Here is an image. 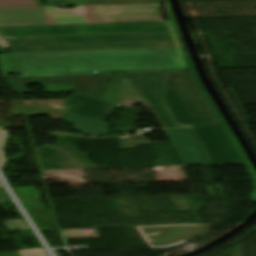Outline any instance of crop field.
<instances>
[{"label": "crop field", "instance_id": "cbeb9de0", "mask_svg": "<svg viewBox=\"0 0 256 256\" xmlns=\"http://www.w3.org/2000/svg\"><path fill=\"white\" fill-rule=\"evenodd\" d=\"M0 38H2V37H0Z\"/></svg>", "mask_w": 256, "mask_h": 256}, {"label": "crop field", "instance_id": "f4fd0767", "mask_svg": "<svg viewBox=\"0 0 256 256\" xmlns=\"http://www.w3.org/2000/svg\"><path fill=\"white\" fill-rule=\"evenodd\" d=\"M153 32L174 31L170 22L111 23L0 28V34L3 35L5 38L12 36L22 37Z\"/></svg>", "mask_w": 256, "mask_h": 256}, {"label": "crop field", "instance_id": "d8731c3e", "mask_svg": "<svg viewBox=\"0 0 256 256\" xmlns=\"http://www.w3.org/2000/svg\"><path fill=\"white\" fill-rule=\"evenodd\" d=\"M3 74L20 73L11 54H0Z\"/></svg>", "mask_w": 256, "mask_h": 256}, {"label": "crop field", "instance_id": "412701ff", "mask_svg": "<svg viewBox=\"0 0 256 256\" xmlns=\"http://www.w3.org/2000/svg\"><path fill=\"white\" fill-rule=\"evenodd\" d=\"M8 43L13 53L180 47L174 33L23 37Z\"/></svg>", "mask_w": 256, "mask_h": 256}, {"label": "crop field", "instance_id": "22f410ed", "mask_svg": "<svg viewBox=\"0 0 256 256\" xmlns=\"http://www.w3.org/2000/svg\"><path fill=\"white\" fill-rule=\"evenodd\" d=\"M0 46L3 47V48L8 47L6 40H1V41H0Z\"/></svg>", "mask_w": 256, "mask_h": 256}, {"label": "crop field", "instance_id": "8a807250", "mask_svg": "<svg viewBox=\"0 0 256 256\" xmlns=\"http://www.w3.org/2000/svg\"><path fill=\"white\" fill-rule=\"evenodd\" d=\"M163 73L144 74L140 93L152 104L184 165L211 164L191 129L177 130L162 100ZM163 99L179 128L190 127L214 165L243 164L219 120L189 72L166 73ZM63 104L72 106L61 120L72 129L97 136L109 132L102 122L117 105L71 93Z\"/></svg>", "mask_w": 256, "mask_h": 256}, {"label": "crop field", "instance_id": "28ad6ade", "mask_svg": "<svg viewBox=\"0 0 256 256\" xmlns=\"http://www.w3.org/2000/svg\"><path fill=\"white\" fill-rule=\"evenodd\" d=\"M21 256H48L44 249L18 251Z\"/></svg>", "mask_w": 256, "mask_h": 256}, {"label": "crop field", "instance_id": "dd49c442", "mask_svg": "<svg viewBox=\"0 0 256 256\" xmlns=\"http://www.w3.org/2000/svg\"><path fill=\"white\" fill-rule=\"evenodd\" d=\"M111 75L95 76H65L14 78L7 83L15 93L33 92L26 89L28 84H41L46 93L70 92L101 99Z\"/></svg>", "mask_w": 256, "mask_h": 256}, {"label": "crop field", "instance_id": "3316defc", "mask_svg": "<svg viewBox=\"0 0 256 256\" xmlns=\"http://www.w3.org/2000/svg\"><path fill=\"white\" fill-rule=\"evenodd\" d=\"M1 221L3 223L4 228L7 229L8 231L29 229L24 219L1 220Z\"/></svg>", "mask_w": 256, "mask_h": 256}, {"label": "crop field", "instance_id": "34b2d1b8", "mask_svg": "<svg viewBox=\"0 0 256 256\" xmlns=\"http://www.w3.org/2000/svg\"><path fill=\"white\" fill-rule=\"evenodd\" d=\"M163 21L160 4L0 9V27Z\"/></svg>", "mask_w": 256, "mask_h": 256}, {"label": "crop field", "instance_id": "5a996713", "mask_svg": "<svg viewBox=\"0 0 256 256\" xmlns=\"http://www.w3.org/2000/svg\"><path fill=\"white\" fill-rule=\"evenodd\" d=\"M38 0H0V7L37 6Z\"/></svg>", "mask_w": 256, "mask_h": 256}, {"label": "crop field", "instance_id": "e52e79f7", "mask_svg": "<svg viewBox=\"0 0 256 256\" xmlns=\"http://www.w3.org/2000/svg\"><path fill=\"white\" fill-rule=\"evenodd\" d=\"M67 2L68 5H101V4H140L159 3L164 0H52L46 1L47 6L52 3Z\"/></svg>", "mask_w": 256, "mask_h": 256}, {"label": "crop field", "instance_id": "d1516ede", "mask_svg": "<svg viewBox=\"0 0 256 256\" xmlns=\"http://www.w3.org/2000/svg\"><path fill=\"white\" fill-rule=\"evenodd\" d=\"M0 256H18L15 251L10 252H0Z\"/></svg>", "mask_w": 256, "mask_h": 256}, {"label": "crop field", "instance_id": "ac0d7876", "mask_svg": "<svg viewBox=\"0 0 256 256\" xmlns=\"http://www.w3.org/2000/svg\"><path fill=\"white\" fill-rule=\"evenodd\" d=\"M13 54L24 77L188 71L180 48ZM96 71V73H92Z\"/></svg>", "mask_w": 256, "mask_h": 256}]
</instances>
